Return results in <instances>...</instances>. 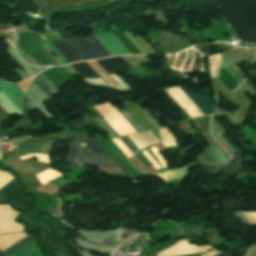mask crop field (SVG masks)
I'll use <instances>...</instances> for the list:
<instances>
[{
	"mask_svg": "<svg viewBox=\"0 0 256 256\" xmlns=\"http://www.w3.org/2000/svg\"><path fill=\"white\" fill-rule=\"evenodd\" d=\"M210 118H211V116H208V117L192 119L190 121L195 125V127L204 135V137L208 141H210L212 144H214L218 149H220L224 154H226L228 156V154L213 141V139L209 133Z\"/></svg>",
	"mask_w": 256,
	"mask_h": 256,
	"instance_id": "obj_9",
	"label": "crop field"
},
{
	"mask_svg": "<svg viewBox=\"0 0 256 256\" xmlns=\"http://www.w3.org/2000/svg\"><path fill=\"white\" fill-rule=\"evenodd\" d=\"M71 47L81 56L83 60L110 57V53L99 43L94 35L84 39L68 40Z\"/></svg>",
	"mask_w": 256,
	"mask_h": 256,
	"instance_id": "obj_4",
	"label": "crop field"
},
{
	"mask_svg": "<svg viewBox=\"0 0 256 256\" xmlns=\"http://www.w3.org/2000/svg\"><path fill=\"white\" fill-rule=\"evenodd\" d=\"M68 63L81 61L79 55L65 42H51Z\"/></svg>",
	"mask_w": 256,
	"mask_h": 256,
	"instance_id": "obj_10",
	"label": "crop field"
},
{
	"mask_svg": "<svg viewBox=\"0 0 256 256\" xmlns=\"http://www.w3.org/2000/svg\"><path fill=\"white\" fill-rule=\"evenodd\" d=\"M83 1H89V0H53L52 3H77V2H83Z\"/></svg>",
	"mask_w": 256,
	"mask_h": 256,
	"instance_id": "obj_24",
	"label": "crop field"
},
{
	"mask_svg": "<svg viewBox=\"0 0 256 256\" xmlns=\"http://www.w3.org/2000/svg\"><path fill=\"white\" fill-rule=\"evenodd\" d=\"M202 154H204L205 156L212 159L218 164H227L228 162V157L225 156L222 152H220L210 143L205 147Z\"/></svg>",
	"mask_w": 256,
	"mask_h": 256,
	"instance_id": "obj_11",
	"label": "crop field"
},
{
	"mask_svg": "<svg viewBox=\"0 0 256 256\" xmlns=\"http://www.w3.org/2000/svg\"><path fill=\"white\" fill-rule=\"evenodd\" d=\"M72 66L81 77H99L86 62L74 63Z\"/></svg>",
	"mask_w": 256,
	"mask_h": 256,
	"instance_id": "obj_14",
	"label": "crop field"
},
{
	"mask_svg": "<svg viewBox=\"0 0 256 256\" xmlns=\"http://www.w3.org/2000/svg\"><path fill=\"white\" fill-rule=\"evenodd\" d=\"M54 255H55V256H62V255L60 254V252L55 253Z\"/></svg>",
	"mask_w": 256,
	"mask_h": 256,
	"instance_id": "obj_29",
	"label": "crop field"
},
{
	"mask_svg": "<svg viewBox=\"0 0 256 256\" xmlns=\"http://www.w3.org/2000/svg\"><path fill=\"white\" fill-rule=\"evenodd\" d=\"M200 160H202L203 162H206V163H214L213 161H211L210 159L206 158L205 156H201L199 158ZM216 164V163H215Z\"/></svg>",
	"mask_w": 256,
	"mask_h": 256,
	"instance_id": "obj_26",
	"label": "crop field"
},
{
	"mask_svg": "<svg viewBox=\"0 0 256 256\" xmlns=\"http://www.w3.org/2000/svg\"><path fill=\"white\" fill-rule=\"evenodd\" d=\"M29 67L32 68L35 71V73H37V71L34 67H32V66H29Z\"/></svg>",
	"mask_w": 256,
	"mask_h": 256,
	"instance_id": "obj_30",
	"label": "crop field"
},
{
	"mask_svg": "<svg viewBox=\"0 0 256 256\" xmlns=\"http://www.w3.org/2000/svg\"><path fill=\"white\" fill-rule=\"evenodd\" d=\"M218 256H227V255L221 254V255H218Z\"/></svg>",
	"mask_w": 256,
	"mask_h": 256,
	"instance_id": "obj_32",
	"label": "crop field"
},
{
	"mask_svg": "<svg viewBox=\"0 0 256 256\" xmlns=\"http://www.w3.org/2000/svg\"><path fill=\"white\" fill-rule=\"evenodd\" d=\"M121 113L138 132L145 131L144 127L130 114L127 109L121 111Z\"/></svg>",
	"mask_w": 256,
	"mask_h": 256,
	"instance_id": "obj_17",
	"label": "crop field"
},
{
	"mask_svg": "<svg viewBox=\"0 0 256 256\" xmlns=\"http://www.w3.org/2000/svg\"><path fill=\"white\" fill-rule=\"evenodd\" d=\"M50 48L53 52L56 53L57 57L60 59V61L65 65L67 64V62L65 61V59L60 55V53L49 43V41L47 39L43 40Z\"/></svg>",
	"mask_w": 256,
	"mask_h": 256,
	"instance_id": "obj_22",
	"label": "crop field"
},
{
	"mask_svg": "<svg viewBox=\"0 0 256 256\" xmlns=\"http://www.w3.org/2000/svg\"><path fill=\"white\" fill-rule=\"evenodd\" d=\"M62 174H59L51 169H48L44 172H41L39 174H37V177L39 178L40 182L42 183V185L50 182L51 180L61 176ZM36 176V175H35ZM37 178V179H38Z\"/></svg>",
	"mask_w": 256,
	"mask_h": 256,
	"instance_id": "obj_16",
	"label": "crop field"
},
{
	"mask_svg": "<svg viewBox=\"0 0 256 256\" xmlns=\"http://www.w3.org/2000/svg\"><path fill=\"white\" fill-rule=\"evenodd\" d=\"M14 177L7 174L6 172L0 171V189L6 185L10 180H12Z\"/></svg>",
	"mask_w": 256,
	"mask_h": 256,
	"instance_id": "obj_18",
	"label": "crop field"
},
{
	"mask_svg": "<svg viewBox=\"0 0 256 256\" xmlns=\"http://www.w3.org/2000/svg\"><path fill=\"white\" fill-rule=\"evenodd\" d=\"M202 165L209 171V173L211 175H213V174H215V173L220 171V170H218V169H216V168H214V167H212V166H210L208 164H202Z\"/></svg>",
	"mask_w": 256,
	"mask_h": 256,
	"instance_id": "obj_25",
	"label": "crop field"
},
{
	"mask_svg": "<svg viewBox=\"0 0 256 256\" xmlns=\"http://www.w3.org/2000/svg\"><path fill=\"white\" fill-rule=\"evenodd\" d=\"M0 193L9 197L30 212L25 217L43 229L44 241L49 249L56 251L61 248L60 234L54 223L50 222L45 217H41L38 214L30 211L29 208L32 203L22 197L20 194V188L10 183L3 190H1Z\"/></svg>",
	"mask_w": 256,
	"mask_h": 256,
	"instance_id": "obj_2",
	"label": "crop field"
},
{
	"mask_svg": "<svg viewBox=\"0 0 256 256\" xmlns=\"http://www.w3.org/2000/svg\"><path fill=\"white\" fill-rule=\"evenodd\" d=\"M0 89L2 90V93L6 95L15 104V106L21 111L24 95L20 91V89L17 88L14 83H6L1 79H0ZM13 94L19 95V98L16 99L13 96Z\"/></svg>",
	"mask_w": 256,
	"mask_h": 256,
	"instance_id": "obj_8",
	"label": "crop field"
},
{
	"mask_svg": "<svg viewBox=\"0 0 256 256\" xmlns=\"http://www.w3.org/2000/svg\"><path fill=\"white\" fill-rule=\"evenodd\" d=\"M97 62L108 73H115L132 69L121 57H111L106 59L97 60Z\"/></svg>",
	"mask_w": 256,
	"mask_h": 256,
	"instance_id": "obj_7",
	"label": "crop field"
},
{
	"mask_svg": "<svg viewBox=\"0 0 256 256\" xmlns=\"http://www.w3.org/2000/svg\"><path fill=\"white\" fill-rule=\"evenodd\" d=\"M32 156H37V157H38V161L49 162L48 155H47V156H44V155H42V154L25 155V156H23V157H20V159H21V160H24V159L31 158Z\"/></svg>",
	"mask_w": 256,
	"mask_h": 256,
	"instance_id": "obj_20",
	"label": "crop field"
},
{
	"mask_svg": "<svg viewBox=\"0 0 256 256\" xmlns=\"http://www.w3.org/2000/svg\"><path fill=\"white\" fill-rule=\"evenodd\" d=\"M77 142L97 167H117L94 141ZM77 142H72L65 162L80 167L93 164Z\"/></svg>",
	"mask_w": 256,
	"mask_h": 256,
	"instance_id": "obj_3",
	"label": "crop field"
},
{
	"mask_svg": "<svg viewBox=\"0 0 256 256\" xmlns=\"http://www.w3.org/2000/svg\"><path fill=\"white\" fill-rule=\"evenodd\" d=\"M219 10L229 20L239 38L256 36V1L229 0ZM244 40L256 42V37Z\"/></svg>",
	"mask_w": 256,
	"mask_h": 256,
	"instance_id": "obj_1",
	"label": "crop field"
},
{
	"mask_svg": "<svg viewBox=\"0 0 256 256\" xmlns=\"http://www.w3.org/2000/svg\"><path fill=\"white\" fill-rule=\"evenodd\" d=\"M0 256H4L2 252H0Z\"/></svg>",
	"mask_w": 256,
	"mask_h": 256,
	"instance_id": "obj_31",
	"label": "crop field"
},
{
	"mask_svg": "<svg viewBox=\"0 0 256 256\" xmlns=\"http://www.w3.org/2000/svg\"><path fill=\"white\" fill-rule=\"evenodd\" d=\"M136 38L151 54H157V52L154 51L140 36H137Z\"/></svg>",
	"mask_w": 256,
	"mask_h": 256,
	"instance_id": "obj_23",
	"label": "crop field"
},
{
	"mask_svg": "<svg viewBox=\"0 0 256 256\" xmlns=\"http://www.w3.org/2000/svg\"><path fill=\"white\" fill-rule=\"evenodd\" d=\"M179 87L192 100V102L200 109V111L204 115L213 113L212 102L209 101L206 97L197 93L194 94L187 85H181Z\"/></svg>",
	"mask_w": 256,
	"mask_h": 256,
	"instance_id": "obj_6",
	"label": "crop field"
},
{
	"mask_svg": "<svg viewBox=\"0 0 256 256\" xmlns=\"http://www.w3.org/2000/svg\"><path fill=\"white\" fill-rule=\"evenodd\" d=\"M135 156H136V158L138 159L139 162L141 161L144 164L145 167L151 166V163L148 161V159L141 152H138Z\"/></svg>",
	"mask_w": 256,
	"mask_h": 256,
	"instance_id": "obj_21",
	"label": "crop field"
},
{
	"mask_svg": "<svg viewBox=\"0 0 256 256\" xmlns=\"http://www.w3.org/2000/svg\"><path fill=\"white\" fill-rule=\"evenodd\" d=\"M60 252L62 253L63 256H72L71 253L69 252V250L64 249Z\"/></svg>",
	"mask_w": 256,
	"mask_h": 256,
	"instance_id": "obj_27",
	"label": "crop field"
},
{
	"mask_svg": "<svg viewBox=\"0 0 256 256\" xmlns=\"http://www.w3.org/2000/svg\"><path fill=\"white\" fill-rule=\"evenodd\" d=\"M36 236H37V234H32V235L26 236L21 241H19L15 245L11 246L10 248H8L3 253L5 254V256H8L9 254H11V253L21 249L22 247L26 246L27 244L35 241L36 240Z\"/></svg>",
	"mask_w": 256,
	"mask_h": 256,
	"instance_id": "obj_15",
	"label": "crop field"
},
{
	"mask_svg": "<svg viewBox=\"0 0 256 256\" xmlns=\"http://www.w3.org/2000/svg\"><path fill=\"white\" fill-rule=\"evenodd\" d=\"M34 83L44 92L48 98H50L52 94H56L58 92L52 83L49 82L42 73L37 74V78Z\"/></svg>",
	"mask_w": 256,
	"mask_h": 256,
	"instance_id": "obj_12",
	"label": "crop field"
},
{
	"mask_svg": "<svg viewBox=\"0 0 256 256\" xmlns=\"http://www.w3.org/2000/svg\"><path fill=\"white\" fill-rule=\"evenodd\" d=\"M0 160H1V151H0Z\"/></svg>",
	"mask_w": 256,
	"mask_h": 256,
	"instance_id": "obj_33",
	"label": "crop field"
},
{
	"mask_svg": "<svg viewBox=\"0 0 256 256\" xmlns=\"http://www.w3.org/2000/svg\"><path fill=\"white\" fill-rule=\"evenodd\" d=\"M119 139L131 150L133 154L137 152V148L134 146V144L129 140L127 136L120 137Z\"/></svg>",
	"mask_w": 256,
	"mask_h": 256,
	"instance_id": "obj_19",
	"label": "crop field"
},
{
	"mask_svg": "<svg viewBox=\"0 0 256 256\" xmlns=\"http://www.w3.org/2000/svg\"><path fill=\"white\" fill-rule=\"evenodd\" d=\"M95 35L113 55L131 54L112 33H99Z\"/></svg>",
	"mask_w": 256,
	"mask_h": 256,
	"instance_id": "obj_5",
	"label": "crop field"
},
{
	"mask_svg": "<svg viewBox=\"0 0 256 256\" xmlns=\"http://www.w3.org/2000/svg\"><path fill=\"white\" fill-rule=\"evenodd\" d=\"M124 104L147 130L154 129L152 124L145 119V117L141 114V112L134 106V104L130 100L124 102Z\"/></svg>",
	"mask_w": 256,
	"mask_h": 256,
	"instance_id": "obj_13",
	"label": "crop field"
},
{
	"mask_svg": "<svg viewBox=\"0 0 256 256\" xmlns=\"http://www.w3.org/2000/svg\"><path fill=\"white\" fill-rule=\"evenodd\" d=\"M16 50H17V53L21 56V58L25 61V62H27V63H29L28 62V60L21 54V52L16 48ZM30 64V63H29Z\"/></svg>",
	"mask_w": 256,
	"mask_h": 256,
	"instance_id": "obj_28",
	"label": "crop field"
}]
</instances>
